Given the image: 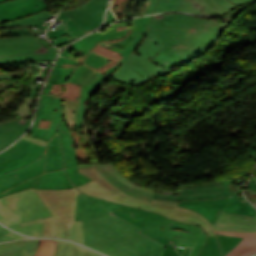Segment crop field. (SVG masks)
Here are the masks:
<instances>
[{"instance_id":"8a807250","label":"crop field","mask_w":256,"mask_h":256,"mask_svg":"<svg viewBox=\"0 0 256 256\" xmlns=\"http://www.w3.org/2000/svg\"><path fill=\"white\" fill-rule=\"evenodd\" d=\"M63 63L79 62L59 57L39 104L29 136L48 142L45 174L27 180L0 194V198L33 187L54 216L23 223L43 222L44 237L56 234L54 221H65L64 239L72 240L73 220H84L85 245L109 256H162L166 247L140 233L139 227L113 215L122 204L79 193L75 187L92 181L78 168L96 166L101 174L125 193L151 202L154 192L134 185L114 164L78 166L73 139L62 119L59 95L49 94L53 84H65L74 67L60 69ZM41 119L51 120L48 130L38 129Z\"/></svg>"},{"instance_id":"ac0d7876","label":"crop field","mask_w":256,"mask_h":256,"mask_svg":"<svg viewBox=\"0 0 256 256\" xmlns=\"http://www.w3.org/2000/svg\"><path fill=\"white\" fill-rule=\"evenodd\" d=\"M226 26L174 13L155 15L145 35L138 34L105 74L134 86L152 81L205 53Z\"/></svg>"},{"instance_id":"34b2d1b8","label":"crop field","mask_w":256,"mask_h":256,"mask_svg":"<svg viewBox=\"0 0 256 256\" xmlns=\"http://www.w3.org/2000/svg\"><path fill=\"white\" fill-rule=\"evenodd\" d=\"M46 145L40 139L25 136L0 154V193L44 173Z\"/></svg>"},{"instance_id":"412701ff","label":"crop field","mask_w":256,"mask_h":256,"mask_svg":"<svg viewBox=\"0 0 256 256\" xmlns=\"http://www.w3.org/2000/svg\"><path fill=\"white\" fill-rule=\"evenodd\" d=\"M77 189L79 192L104 198L106 200H112L115 202L122 203L124 205L144 210L159 212L160 214L170 217L177 221H183L194 225H200L207 235H214L212 232V225L203 215L193 210L176 206L177 201L152 200V202L149 203L141 199L131 197L125 194L124 192L116 197L94 181L79 186L77 187Z\"/></svg>"},{"instance_id":"f4fd0767","label":"crop field","mask_w":256,"mask_h":256,"mask_svg":"<svg viewBox=\"0 0 256 256\" xmlns=\"http://www.w3.org/2000/svg\"><path fill=\"white\" fill-rule=\"evenodd\" d=\"M58 50L45 48L35 36L0 38V64L24 68L34 60H54ZM19 74L0 73V79L17 78Z\"/></svg>"},{"instance_id":"dd49c442","label":"crop field","mask_w":256,"mask_h":256,"mask_svg":"<svg viewBox=\"0 0 256 256\" xmlns=\"http://www.w3.org/2000/svg\"><path fill=\"white\" fill-rule=\"evenodd\" d=\"M106 76L79 64L72 75L67 79L68 83L82 86L78 103L62 99L63 119L69 130L85 125L84 123V102L100 86L103 85ZM75 112V114H73Z\"/></svg>"},{"instance_id":"e52e79f7","label":"crop field","mask_w":256,"mask_h":256,"mask_svg":"<svg viewBox=\"0 0 256 256\" xmlns=\"http://www.w3.org/2000/svg\"><path fill=\"white\" fill-rule=\"evenodd\" d=\"M51 215L33 188L0 199V222L6 226Z\"/></svg>"},{"instance_id":"d8731c3e","label":"crop field","mask_w":256,"mask_h":256,"mask_svg":"<svg viewBox=\"0 0 256 256\" xmlns=\"http://www.w3.org/2000/svg\"><path fill=\"white\" fill-rule=\"evenodd\" d=\"M233 185L232 187L235 191L233 197L208 201H178V206L190 208L203 214L212 223V225L215 223L222 211L255 216L256 209L245 200L242 195V190Z\"/></svg>"},{"instance_id":"5a996713","label":"crop field","mask_w":256,"mask_h":256,"mask_svg":"<svg viewBox=\"0 0 256 256\" xmlns=\"http://www.w3.org/2000/svg\"><path fill=\"white\" fill-rule=\"evenodd\" d=\"M147 229L142 233L154 238L160 243L176 246L181 238L196 241L202 229L200 226H194L183 222L173 221L171 219L145 223ZM184 249L175 247L171 256H181Z\"/></svg>"},{"instance_id":"3316defc","label":"crop field","mask_w":256,"mask_h":256,"mask_svg":"<svg viewBox=\"0 0 256 256\" xmlns=\"http://www.w3.org/2000/svg\"><path fill=\"white\" fill-rule=\"evenodd\" d=\"M230 179L221 182L205 183L194 186L181 185L180 195L155 192L153 199L160 200H207L232 196Z\"/></svg>"},{"instance_id":"28ad6ade","label":"crop field","mask_w":256,"mask_h":256,"mask_svg":"<svg viewBox=\"0 0 256 256\" xmlns=\"http://www.w3.org/2000/svg\"><path fill=\"white\" fill-rule=\"evenodd\" d=\"M107 1L89 0L76 9L64 10V12L84 31L93 30L102 22Z\"/></svg>"},{"instance_id":"d1516ede","label":"crop field","mask_w":256,"mask_h":256,"mask_svg":"<svg viewBox=\"0 0 256 256\" xmlns=\"http://www.w3.org/2000/svg\"><path fill=\"white\" fill-rule=\"evenodd\" d=\"M248 3L244 0H185L180 11L203 15L220 16L225 10L230 11Z\"/></svg>"},{"instance_id":"22f410ed","label":"crop field","mask_w":256,"mask_h":256,"mask_svg":"<svg viewBox=\"0 0 256 256\" xmlns=\"http://www.w3.org/2000/svg\"><path fill=\"white\" fill-rule=\"evenodd\" d=\"M46 7L43 0H11L0 3V23L25 17Z\"/></svg>"},{"instance_id":"cbeb9de0","label":"crop field","mask_w":256,"mask_h":256,"mask_svg":"<svg viewBox=\"0 0 256 256\" xmlns=\"http://www.w3.org/2000/svg\"><path fill=\"white\" fill-rule=\"evenodd\" d=\"M124 25H127V30H121L117 32L115 27ZM130 27L131 23L129 22L112 25L109 29L102 33L88 35L84 39L68 46L66 49L63 50L60 56L69 57L73 50L80 51L82 52V54L87 55L88 52L93 48V46L99 41H106L125 37L130 30Z\"/></svg>"},{"instance_id":"5142ce71","label":"crop field","mask_w":256,"mask_h":256,"mask_svg":"<svg viewBox=\"0 0 256 256\" xmlns=\"http://www.w3.org/2000/svg\"><path fill=\"white\" fill-rule=\"evenodd\" d=\"M215 229L237 230V231H256V216H245L222 212L216 223Z\"/></svg>"},{"instance_id":"d9b57169","label":"crop field","mask_w":256,"mask_h":256,"mask_svg":"<svg viewBox=\"0 0 256 256\" xmlns=\"http://www.w3.org/2000/svg\"><path fill=\"white\" fill-rule=\"evenodd\" d=\"M242 240L231 236H208L200 256H224Z\"/></svg>"},{"instance_id":"733c2abd","label":"crop field","mask_w":256,"mask_h":256,"mask_svg":"<svg viewBox=\"0 0 256 256\" xmlns=\"http://www.w3.org/2000/svg\"><path fill=\"white\" fill-rule=\"evenodd\" d=\"M216 234L231 235L245 238L234 249H232L226 256H251L256 254V232H237L225 230H213Z\"/></svg>"},{"instance_id":"4a817a6b","label":"crop field","mask_w":256,"mask_h":256,"mask_svg":"<svg viewBox=\"0 0 256 256\" xmlns=\"http://www.w3.org/2000/svg\"><path fill=\"white\" fill-rule=\"evenodd\" d=\"M31 120L0 123V150L18 139L28 128Z\"/></svg>"},{"instance_id":"bc2a9ffb","label":"crop field","mask_w":256,"mask_h":256,"mask_svg":"<svg viewBox=\"0 0 256 256\" xmlns=\"http://www.w3.org/2000/svg\"><path fill=\"white\" fill-rule=\"evenodd\" d=\"M40 240H24L0 244V256H34Z\"/></svg>"},{"instance_id":"214f88e0","label":"crop field","mask_w":256,"mask_h":256,"mask_svg":"<svg viewBox=\"0 0 256 256\" xmlns=\"http://www.w3.org/2000/svg\"><path fill=\"white\" fill-rule=\"evenodd\" d=\"M50 13L47 11V9L38 12L36 14L27 16L25 18L19 19V20H15V21H11V22H7V23H3L0 24V26L2 27H16V26H21V25H34V26H38V27H42L41 23H44L45 19H47L48 17H50ZM48 26L42 27L44 29H46Z\"/></svg>"},{"instance_id":"92a150f3","label":"crop field","mask_w":256,"mask_h":256,"mask_svg":"<svg viewBox=\"0 0 256 256\" xmlns=\"http://www.w3.org/2000/svg\"><path fill=\"white\" fill-rule=\"evenodd\" d=\"M79 172L93 179L94 181L99 183L101 186H103L104 188H106L116 196L119 195L121 192H123L117 189L115 186H113L106 178H104L100 174V172L96 169V167L79 169Z\"/></svg>"},{"instance_id":"dafd665d","label":"crop field","mask_w":256,"mask_h":256,"mask_svg":"<svg viewBox=\"0 0 256 256\" xmlns=\"http://www.w3.org/2000/svg\"><path fill=\"white\" fill-rule=\"evenodd\" d=\"M151 17L152 16L133 19V23H132L133 32L131 37L125 41L113 43L112 46L124 50V48L129 44V42L134 38V36H136L138 33H143V34L145 33Z\"/></svg>"},{"instance_id":"00972430","label":"crop field","mask_w":256,"mask_h":256,"mask_svg":"<svg viewBox=\"0 0 256 256\" xmlns=\"http://www.w3.org/2000/svg\"><path fill=\"white\" fill-rule=\"evenodd\" d=\"M87 251L88 249L80 245L58 241L57 248L53 256H83Z\"/></svg>"},{"instance_id":"a9b5d70f","label":"crop field","mask_w":256,"mask_h":256,"mask_svg":"<svg viewBox=\"0 0 256 256\" xmlns=\"http://www.w3.org/2000/svg\"><path fill=\"white\" fill-rule=\"evenodd\" d=\"M126 207L129 209L126 212L127 214H129L131 217H134L144 222L167 219V217L162 216L158 213L148 212V211H144V210H140V209H136L128 206Z\"/></svg>"},{"instance_id":"4177f3b9","label":"crop field","mask_w":256,"mask_h":256,"mask_svg":"<svg viewBox=\"0 0 256 256\" xmlns=\"http://www.w3.org/2000/svg\"><path fill=\"white\" fill-rule=\"evenodd\" d=\"M183 0H159L153 13L163 11H179Z\"/></svg>"},{"instance_id":"730fd06b","label":"crop field","mask_w":256,"mask_h":256,"mask_svg":"<svg viewBox=\"0 0 256 256\" xmlns=\"http://www.w3.org/2000/svg\"><path fill=\"white\" fill-rule=\"evenodd\" d=\"M8 227L13 228L23 234H27L35 237H43L42 223L24 226V227H21L20 224H17V225H11Z\"/></svg>"},{"instance_id":"eef30255","label":"crop field","mask_w":256,"mask_h":256,"mask_svg":"<svg viewBox=\"0 0 256 256\" xmlns=\"http://www.w3.org/2000/svg\"><path fill=\"white\" fill-rule=\"evenodd\" d=\"M108 60H109L108 58L90 51L89 54L84 59L83 63L98 70L104 64H106Z\"/></svg>"},{"instance_id":"ae1a2a85","label":"crop field","mask_w":256,"mask_h":256,"mask_svg":"<svg viewBox=\"0 0 256 256\" xmlns=\"http://www.w3.org/2000/svg\"><path fill=\"white\" fill-rule=\"evenodd\" d=\"M56 243L57 241L55 240L41 239L40 247L35 256H52L55 251Z\"/></svg>"},{"instance_id":"d3111659","label":"crop field","mask_w":256,"mask_h":256,"mask_svg":"<svg viewBox=\"0 0 256 256\" xmlns=\"http://www.w3.org/2000/svg\"><path fill=\"white\" fill-rule=\"evenodd\" d=\"M25 238H28V237L18 235L0 226V242L8 241V240L25 239Z\"/></svg>"},{"instance_id":"750c4746","label":"crop field","mask_w":256,"mask_h":256,"mask_svg":"<svg viewBox=\"0 0 256 256\" xmlns=\"http://www.w3.org/2000/svg\"><path fill=\"white\" fill-rule=\"evenodd\" d=\"M83 221H74L73 240L84 244Z\"/></svg>"},{"instance_id":"bd1437ed","label":"crop field","mask_w":256,"mask_h":256,"mask_svg":"<svg viewBox=\"0 0 256 256\" xmlns=\"http://www.w3.org/2000/svg\"><path fill=\"white\" fill-rule=\"evenodd\" d=\"M36 98L26 97L25 102L23 106H21L19 111H17V114L20 115V117L26 116L33 108Z\"/></svg>"},{"instance_id":"1d83c4d3","label":"crop field","mask_w":256,"mask_h":256,"mask_svg":"<svg viewBox=\"0 0 256 256\" xmlns=\"http://www.w3.org/2000/svg\"><path fill=\"white\" fill-rule=\"evenodd\" d=\"M207 239V235L204 233V231L200 234L190 256H198L205 241Z\"/></svg>"},{"instance_id":"120bbe31","label":"crop field","mask_w":256,"mask_h":256,"mask_svg":"<svg viewBox=\"0 0 256 256\" xmlns=\"http://www.w3.org/2000/svg\"><path fill=\"white\" fill-rule=\"evenodd\" d=\"M248 4H249V3H248ZM245 5H247V4H245ZM245 5L240 6V7L236 8V9L232 10L231 12H229V13H227V14L221 16V17H222L223 19H225L227 22H230V21L242 10V8H243Z\"/></svg>"},{"instance_id":"d32e631a","label":"crop field","mask_w":256,"mask_h":256,"mask_svg":"<svg viewBox=\"0 0 256 256\" xmlns=\"http://www.w3.org/2000/svg\"><path fill=\"white\" fill-rule=\"evenodd\" d=\"M114 214H116V215H118V216H120V217H122V218H124V219H126V220H128V221H130V222H132L134 224H136L137 226H139V227H141L142 229L145 230V228L142 227L144 222H141L139 220L133 219L130 216H128L126 213L124 215H122V214H120V213L115 211Z\"/></svg>"},{"instance_id":"5866460e","label":"crop field","mask_w":256,"mask_h":256,"mask_svg":"<svg viewBox=\"0 0 256 256\" xmlns=\"http://www.w3.org/2000/svg\"><path fill=\"white\" fill-rule=\"evenodd\" d=\"M57 234L54 237L63 239L64 222H55Z\"/></svg>"},{"instance_id":"028f5c9d","label":"crop field","mask_w":256,"mask_h":256,"mask_svg":"<svg viewBox=\"0 0 256 256\" xmlns=\"http://www.w3.org/2000/svg\"><path fill=\"white\" fill-rule=\"evenodd\" d=\"M114 19H115L114 16L111 14V12L109 10V13H108V16L106 18L105 24L101 28H99L98 30H101V29L105 28L107 25H109L111 22H113Z\"/></svg>"},{"instance_id":"e1f06a70","label":"crop field","mask_w":256,"mask_h":256,"mask_svg":"<svg viewBox=\"0 0 256 256\" xmlns=\"http://www.w3.org/2000/svg\"><path fill=\"white\" fill-rule=\"evenodd\" d=\"M194 242H192V241H188V240H183V239H181V241L178 243V247H182V248H185L186 246H194Z\"/></svg>"},{"instance_id":"0bd39190","label":"crop field","mask_w":256,"mask_h":256,"mask_svg":"<svg viewBox=\"0 0 256 256\" xmlns=\"http://www.w3.org/2000/svg\"><path fill=\"white\" fill-rule=\"evenodd\" d=\"M157 1L158 0H151L150 5H152V6L149 5V8H148V11H147L146 14H149V13L153 12V10H154V8H155V6L157 4Z\"/></svg>"},{"instance_id":"b80d0937","label":"crop field","mask_w":256,"mask_h":256,"mask_svg":"<svg viewBox=\"0 0 256 256\" xmlns=\"http://www.w3.org/2000/svg\"><path fill=\"white\" fill-rule=\"evenodd\" d=\"M98 44H100V45H102V46H104V47H106V48H108V49H111V50H114V51H116V52L122 53V50L117 49V48H114V47L108 45V44L105 43V42H99Z\"/></svg>"},{"instance_id":"c035e120","label":"crop field","mask_w":256,"mask_h":256,"mask_svg":"<svg viewBox=\"0 0 256 256\" xmlns=\"http://www.w3.org/2000/svg\"><path fill=\"white\" fill-rule=\"evenodd\" d=\"M249 185L251 189L255 190L256 191V176L253 175L250 182H249Z\"/></svg>"},{"instance_id":"c21b1889","label":"crop field","mask_w":256,"mask_h":256,"mask_svg":"<svg viewBox=\"0 0 256 256\" xmlns=\"http://www.w3.org/2000/svg\"><path fill=\"white\" fill-rule=\"evenodd\" d=\"M173 247L172 246H168L166 247L163 256H170L171 252H172Z\"/></svg>"},{"instance_id":"03da06ac","label":"crop field","mask_w":256,"mask_h":256,"mask_svg":"<svg viewBox=\"0 0 256 256\" xmlns=\"http://www.w3.org/2000/svg\"><path fill=\"white\" fill-rule=\"evenodd\" d=\"M246 192L248 193V195L252 196V197H256V192L251 190V189H247ZM255 206H256V202H252Z\"/></svg>"},{"instance_id":"b54c1fbb","label":"crop field","mask_w":256,"mask_h":256,"mask_svg":"<svg viewBox=\"0 0 256 256\" xmlns=\"http://www.w3.org/2000/svg\"><path fill=\"white\" fill-rule=\"evenodd\" d=\"M84 256H102V255L89 250Z\"/></svg>"},{"instance_id":"5d738f31","label":"crop field","mask_w":256,"mask_h":256,"mask_svg":"<svg viewBox=\"0 0 256 256\" xmlns=\"http://www.w3.org/2000/svg\"><path fill=\"white\" fill-rule=\"evenodd\" d=\"M190 251L186 250L183 256H189Z\"/></svg>"},{"instance_id":"d23c7cc5","label":"crop field","mask_w":256,"mask_h":256,"mask_svg":"<svg viewBox=\"0 0 256 256\" xmlns=\"http://www.w3.org/2000/svg\"><path fill=\"white\" fill-rule=\"evenodd\" d=\"M4 1H8V0H0V2H4Z\"/></svg>"},{"instance_id":"425ffa30","label":"crop field","mask_w":256,"mask_h":256,"mask_svg":"<svg viewBox=\"0 0 256 256\" xmlns=\"http://www.w3.org/2000/svg\"><path fill=\"white\" fill-rule=\"evenodd\" d=\"M247 1L251 2V1H254V0H247Z\"/></svg>"},{"instance_id":"25e5ab78","label":"crop field","mask_w":256,"mask_h":256,"mask_svg":"<svg viewBox=\"0 0 256 256\" xmlns=\"http://www.w3.org/2000/svg\"><path fill=\"white\" fill-rule=\"evenodd\" d=\"M186 249H189V250H190L191 248H186Z\"/></svg>"}]
</instances>
